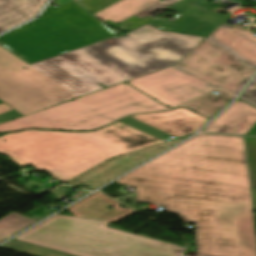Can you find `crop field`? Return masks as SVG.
Masks as SVG:
<instances>
[{
	"label": "crop field",
	"instance_id": "8a807250",
	"mask_svg": "<svg viewBox=\"0 0 256 256\" xmlns=\"http://www.w3.org/2000/svg\"><path fill=\"white\" fill-rule=\"evenodd\" d=\"M127 34L30 65L0 47V103L24 116L175 66L204 39L150 25Z\"/></svg>",
	"mask_w": 256,
	"mask_h": 256
},
{
	"label": "crop field",
	"instance_id": "ac0d7876",
	"mask_svg": "<svg viewBox=\"0 0 256 256\" xmlns=\"http://www.w3.org/2000/svg\"><path fill=\"white\" fill-rule=\"evenodd\" d=\"M195 224L197 256H256L253 213L176 202ZM109 222L57 215L14 239L76 256H181L183 248L107 227Z\"/></svg>",
	"mask_w": 256,
	"mask_h": 256
},
{
	"label": "crop field",
	"instance_id": "34b2d1b8",
	"mask_svg": "<svg viewBox=\"0 0 256 256\" xmlns=\"http://www.w3.org/2000/svg\"><path fill=\"white\" fill-rule=\"evenodd\" d=\"M155 138L120 122L95 132L25 130L0 136V154L65 183L110 158L165 142Z\"/></svg>",
	"mask_w": 256,
	"mask_h": 256
},
{
	"label": "crop field",
	"instance_id": "412701ff",
	"mask_svg": "<svg viewBox=\"0 0 256 256\" xmlns=\"http://www.w3.org/2000/svg\"><path fill=\"white\" fill-rule=\"evenodd\" d=\"M116 36L77 4L45 12L0 37V44L32 63Z\"/></svg>",
	"mask_w": 256,
	"mask_h": 256
},
{
	"label": "crop field",
	"instance_id": "f4fd0767",
	"mask_svg": "<svg viewBox=\"0 0 256 256\" xmlns=\"http://www.w3.org/2000/svg\"><path fill=\"white\" fill-rule=\"evenodd\" d=\"M167 108L125 83L0 124V132L25 128L93 130L133 113Z\"/></svg>",
	"mask_w": 256,
	"mask_h": 256
},
{
	"label": "crop field",
	"instance_id": "dd49c442",
	"mask_svg": "<svg viewBox=\"0 0 256 256\" xmlns=\"http://www.w3.org/2000/svg\"><path fill=\"white\" fill-rule=\"evenodd\" d=\"M134 171L250 186L239 136L198 134Z\"/></svg>",
	"mask_w": 256,
	"mask_h": 256
},
{
	"label": "crop field",
	"instance_id": "e52e79f7",
	"mask_svg": "<svg viewBox=\"0 0 256 256\" xmlns=\"http://www.w3.org/2000/svg\"><path fill=\"white\" fill-rule=\"evenodd\" d=\"M115 182L136 188L137 202L161 204L172 213H185L172 200L252 209L246 186L135 172Z\"/></svg>",
	"mask_w": 256,
	"mask_h": 256
},
{
	"label": "crop field",
	"instance_id": "d8731c3e",
	"mask_svg": "<svg viewBox=\"0 0 256 256\" xmlns=\"http://www.w3.org/2000/svg\"><path fill=\"white\" fill-rule=\"evenodd\" d=\"M244 32L239 28L217 27L176 67L237 95L256 69L240 74L217 61Z\"/></svg>",
	"mask_w": 256,
	"mask_h": 256
},
{
	"label": "crop field",
	"instance_id": "5a996713",
	"mask_svg": "<svg viewBox=\"0 0 256 256\" xmlns=\"http://www.w3.org/2000/svg\"><path fill=\"white\" fill-rule=\"evenodd\" d=\"M127 83L170 108L217 88L174 66Z\"/></svg>",
	"mask_w": 256,
	"mask_h": 256
},
{
	"label": "crop field",
	"instance_id": "3316defc",
	"mask_svg": "<svg viewBox=\"0 0 256 256\" xmlns=\"http://www.w3.org/2000/svg\"><path fill=\"white\" fill-rule=\"evenodd\" d=\"M194 0H182L164 10L179 13L173 22L155 21L150 24L161 30H169L184 34H196L207 37L228 16L205 11L188 3Z\"/></svg>",
	"mask_w": 256,
	"mask_h": 256
},
{
	"label": "crop field",
	"instance_id": "28ad6ade",
	"mask_svg": "<svg viewBox=\"0 0 256 256\" xmlns=\"http://www.w3.org/2000/svg\"><path fill=\"white\" fill-rule=\"evenodd\" d=\"M189 137V136H188ZM187 138V137H185ZM185 138L178 139L172 142H168L165 144H161L155 147H151L145 150H141L129 155H125L112 161H107L100 166H96L97 168L83 174L82 176L66 183L69 185H75L79 182L87 185L85 189H93L97 188L118 176L126 173L127 171L133 169L138 164L148 160L149 158L155 156L161 151L179 143Z\"/></svg>",
	"mask_w": 256,
	"mask_h": 256
},
{
	"label": "crop field",
	"instance_id": "d1516ede",
	"mask_svg": "<svg viewBox=\"0 0 256 256\" xmlns=\"http://www.w3.org/2000/svg\"><path fill=\"white\" fill-rule=\"evenodd\" d=\"M176 137L195 132L206 119L184 109L171 112L140 114L131 116Z\"/></svg>",
	"mask_w": 256,
	"mask_h": 256
},
{
	"label": "crop field",
	"instance_id": "22f410ed",
	"mask_svg": "<svg viewBox=\"0 0 256 256\" xmlns=\"http://www.w3.org/2000/svg\"><path fill=\"white\" fill-rule=\"evenodd\" d=\"M256 122V109L237 100L203 132L245 135Z\"/></svg>",
	"mask_w": 256,
	"mask_h": 256
},
{
	"label": "crop field",
	"instance_id": "cbeb9de0",
	"mask_svg": "<svg viewBox=\"0 0 256 256\" xmlns=\"http://www.w3.org/2000/svg\"><path fill=\"white\" fill-rule=\"evenodd\" d=\"M119 204V202L96 192L67 209L73 216L114 222L135 212L131 209H121L118 207ZM107 206L114 207V209L108 210Z\"/></svg>",
	"mask_w": 256,
	"mask_h": 256
},
{
	"label": "crop field",
	"instance_id": "5142ce71",
	"mask_svg": "<svg viewBox=\"0 0 256 256\" xmlns=\"http://www.w3.org/2000/svg\"><path fill=\"white\" fill-rule=\"evenodd\" d=\"M248 30L218 61L240 73L256 68V37Z\"/></svg>",
	"mask_w": 256,
	"mask_h": 256
},
{
	"label": "crop field",
	"instance_id": "d9b57169",
	"mask_svg": "<svg viewBox=\"0 0 256 256\" xmlns=\"http://www.w3.org/2000/svg\"><path fill=\"white\" fill-rule=\"evenodd\" d=\"M45 1L0 0V33L37 15Z\"/></svg>",
	"mask_w": 256,
	"mask_h": 256
},
{
	"label": "crop field",
	"instance_id": "733c2abd",
	"mask_svg": "<svg viewBox=\"0 0 256 256\" xmlns=\"http://www.w3.org/2000/svg\"><path fill=\"white\" fill-rule=\"evenodd\" d=\"M158 1L160 0H121L94 16L119 24Z\"/></svg>",
	"mask_w": 256,
	"mask_h": 256
},
{
	"label": "crop field",
	"instance_id": "4a817a6b",
	"mask_svg": "<svg viewBox=\"0 0 256 256\" xmlns=\"http://www.w3.org/2000/svg\"><path fill=\"white\" fill-rule=\"evenodd\" d=\"M216 92H219L218 96H213V94L202 96L182 107L210 118L212 115L218 112L231 98L234 97L221 90Z\"/></svg>",
	"mask_w": 256,
	"mask_h": 256
},
{
	"label": "crop field",
	"instance_id": "bc2a9ffb",
	"mask_svg": "<svg viewBox=\"0 0 256 256\" xmlns=\"http://www.w3.org/2000/svg\"><path fill=\"white\" fill-rule=\"evenodd\" d=\"M36 222V220L27 218L14 212L1 218L0 243Z\"/></svg>",
	"mask_w": 256,
	"mask_h": 256
},
{
	"label": "crop field",
	"instance_id": "214f88e0",
	"mask_svg": "<svg viewBox=\"0 0 256 256\" xmlns=\"http://www.w3.org/2000/svg\"><path fill=\"white\" fill-rule=\"evenodd\" d=\"M252 191H256V137H245Z\"/></svg>",
	"mask_w": 256,
	"mask_h": 256
},
{
	"label": "crop field",
	"instance_id": "92a150f3",
	"mask_svg": "<svg viewBox=\"0 0 256 256\" xmlns=\"http://www.w3.org/2000/svg\"><path fill=\"white\" fill-rule=\"evenodd\" d=\"M120 122L124 123V124H127L131 127H134L144 133H147L153 137H156V138H161V137H164V136H167L169 134L161 131V130H158L150 125H147L143 122H140L138 120H135L131 117H128V118H125V119H122Z\"/></svg>",
	"mask_w": 256,
	"mask_h": 256
},
{
	"label": "crop field",
	"instance_id": "dafd665d",
	"mask_svg": "<svg viewBox=\"0 0 256 256\" xmlns=\"http://www.w3.org/2000/svg\"><path fill=\"white\" fill-rule=\"evenodd\" d=\"M119 0H81L79 3L93 15Z\"/></svg>",
	"mask_w": 256,
	"mask_h": 256
},
{
	"label": "crop field",
	"instance_id": "00972430",
	"mask_svg": "<svg viewBox=\"0 0 256 256\" xmlns=\"http://www.w3.org/2000/svg\"><path fill=\"white\" fill-rule=\"evenodd\" d=\"M177 1H179V0H167V1L162 0V1L150 6L149 8L143 10L142 12H140V13L134 15V16L141 19V18H143L147 15H150L154 12H157V11H159V10H161V9H163V8L169 6V5H171V4H173Z\"/></svg>",
	"mask_w": 256,
	"mask_h": 256
},
{
	"label": "crop field",
	"instance_id": "a9b5d70f",
	"mask_svg": "<svg viewBox=\"0 0 256 256\" xmlns=\"http://www.w3.org/2000/svg\"><path fill=\"white\" fill-rule=\"evenodd\" d=\"M239 99L256 107V77Z\"/></svg>",
	"mask_w": 256,
	"mask_h": 256
},
{
	"label": "crop field",
	"instance_id": "4177f3b9",
	"mask_svg": "<svg viewBox=\"0 0 256 256\" xmlns=\"http://www.w3.org/2000/svg\"><path fill=\"white\" fill-rule=\"evenodd\" d=\"M246 135H256V124L249 130Z\"/></svg>",
	"mask_w": 256,
	"mask_h": 256
},
{
	"label": "crop field",
	"instance_id": "730fd06b",
	"mask_svg": "<svg viewBox=\"0 0 256 256\" xmlns=\"http://www.w3.org/2000/svg\"><path fill=\"white\" fill-rule=\"evenodd\" d=\"M252 194H253L254 206L256 209V192H252Z\"/></svg>",
	"mask_w": 256,
	"mask_h": 256
}]
</instances>
